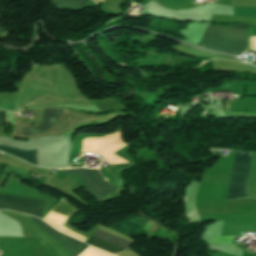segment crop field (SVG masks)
Returning a JSON list of instances; mask_svg holds the SVG:
<instances>
[{
    "label": "crop field",
    "mask_w": 256,
    "mask_h": 256,
    "mask_svg": "<svg viewBox=\"0 0 256 256\" xmlns=\"http://www.w3.org/2000/svg\"><path fill=\"white\" fill-rule=\"evenodd\" d=\"M233 237H216L212 242H228L231 243Z\"/></svg>",
    "instance_id": "obj_11"
},
{
    "label": "crop field",
    "mask_w": 256,
    "mask_h": 256,
    "mask_svg": "<svg viewBox=\"0 0 256 256\" xmlns=\"http://www.w3.org/2000/svg\"><path fill=\"white\" fill-rule=\"evenodd\" d=\"M0 127H4V120L2 114H0Z\"/></svg>",
    "instance_id": "obj_12"
},
{
    "label": "crop field",
    "mask_w": 256,
    "mask_h": 256,
    "mask_svg": "<svg viewBox=\"0 0 256 256\" xmlns=\"http://www.w3.org/2000/svg\"><path fill=\"white\" fill-rule=\"evenodd\" d=\"M0 150L3 152H6L8 154L14 155L16 157H19V158L37 166V164H36V151L37 150L22 151V150H18L16 148L7 147V146H3V145H0Z\"/></svg>",
    "instance_id": "obj_8"
},
{
    "label": "crop field",
    "mask_w": 256,
    "mask_h": 256,
    "mask_svg": "<svg viewBox=\"0 0 256 256\" xmlns=\"http://www.w3.org/2000/svg\"><path fill=\"white\" fill-rule=\"evenodd\" d=\"M47 201L0 190V209L40 217Z\"/></svg>",
    "instance_id": "obj_3"
},
{
    "label": "crop field",
    "mask_w": 256,
    "mask_h": 256,
    "mask_svg": "<svg viewBox=\"0 0 256 256\" xmlns=\"http://www.w3.org/2000/svg\"><path fill=\"white\" fill-rule=\"evenodd\" d=\"M30 220L36 223L44 233H46L48 236L53 238L56 242L60 240L62 237H64V235L57 233L56 231H54L55 229L53 230L41 220L33 217L30 218ZM57 243L61 245L72 256H77L80 252H82L88 246L79 241L71 239L67 236L62 238Z\"/></svg>",
    "instance_id": "obj_5"
},
{
    "label": "crop field",
    "mask_w": 256,
    "mask_h": 256,
    "mask_svg": "<svg viewBox=\"0 0 256 256\" xmlns=\"http://www.w3.org/2000/svg\"><path fill=\"white\" fill-rule=\"evenodd\" d=\"M5 32L3 28L0 27V33Z\"/></svg>",
    "instance_id": "obj_13"
},
{
    "label": "crop field",
    "mask_w": 256,
    "mask_h": 256,
    "mask_svg": "<svg viewBox=\"0 0 256 256\" xmlns=\"http://www.w3.org/2000/svg\"><path fill=\"white\" fill-rule=\"evenodd\" d=\"M88 0H53L55 7L73 9L82 7Z\"/></svg>",
    "instance_id": "obj_9"
},
{
    "label": "crop field",
    "mask_w": 256,
    "mask_h": 256,
    "mask_svg": "<svg viewBox=\"0 0 256 256\" xmlns=\"http://www.w3.org/2000/svg\"><path fill=\"white\" fill-rule=\"evenodd\" d=\"M93 237L101 239L103 241L109 242L111 244H114L116 246L122 247L124 249L128 248L131 245V242L126 241L124 239H121L119 237H116L114 235H111L109 233H106L104 231H101L99 229H97V231L94 233ZM91 237L87 244L93 245L95 247L101 248L107 252H111V253H117V252H121L124 249L116 247L114 245L108 244L106 242H103L101 240L95 239Z\"/></svg>",
    "instance_id": "obj_6"
},
{
    "label": "crop field",
    "mask_w": 256,
    "mask_h": 256,
    "mask_svg": "<svg viewBox=\"0 0 256 256\" xmlns=\"http://www.w3.org/2000/svg\"><path fill=\"white\" fill-rule=\"evenodd\" d=\"M61 113L59 109L45 108L43 125L39 128L25 129V133H45L50 131Z\"/></svg>",
    "instance_id": "obj_7"
},
{
    "label": "crop field",
    "mask_w": 256,
    "mask_h": 256,
    "mask_svg": "<svg viewBox=\"0 0 256 256\" xmlns=\"http://www.w3.org/2000/svg\"><path fill=\"white\" fill-rule=\"evenodd\" d=\"M64 174H76L81 176L85 182L87 192L91 194L96 200H100L108 193L116 190V188L112 187L109 183L101 178L98 170H69L65 171Z\"/></svg>",
    "instance_id": "obj_4"
},
{
    "label": "crop field",
    "mask_w": 256,
    "mask_h": 256,
    "mask_svg": "<svg viewBox=\"0 0 256 256\" xmlns=\"http://www.w3.org/2000/svg\"><path fill=\"white\" fill-rule=\"evenodd\" d=\"M250 156L251 152L236 151L227 200L246 197Z\"/></svg>",
    "instance_id": "obj_2"
},
{
    "label": "crop field",
    "mask_w": 256,
    "mask_h": 256,
    "mask_svg": "<svg viewBox=\"0 0 256 256\" xmlns=\"http://www.w3.org/2000/svg\"><path fill=\"white\" fill-rule=\"evenodd\" d=\"M201 45L205 49L239 55L243 50H247L248 25L235 24L230 27H219L210 23L201 39Z\"/></svg>",
    "instance_id": "obj_1"
},
{
    "label": "crop field",
    "mask_w": 256,
    "mask_h": 256,
    "mask_svg": "<svg viewBox=\"0 0 256 256\" xmlns=\"http://www.w3.org/2000/svg\"><path fill=\"white\" fill-rule=\"evenodd\" d=\"M234 16H256V6L233 7Z\"/></svg>",
    "instance_id": "obj_10"
}]
</instances>
